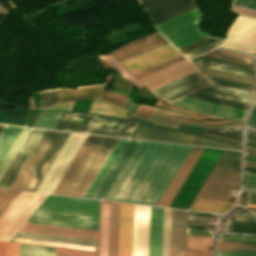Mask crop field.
Instances as JSON below:
<instances>
[{"label":"crop field","instance_id":"c3a83c6f","mask_svg":"<svg viewBox=\"0 0 256 256\" xmlns=\"http://www.w3.org/2000/svg\"><path fill=\"white\" fill-rule=\"evenodd\" d=\"M246 127L256 128V103L247 119Z\"/></svg>","mask_w":256,"mask_h":256},{"label":"crop field","instance_id":"1d79db26","mask_svg":"<svg viewBox=\"0 0 256 256\" xmlns=\"http://www.w3.org/2000/svg\"><path fill=\"white\" fill-rule=\"evenodd\" d=\"M19 244L0 242V256H18Z\"/></svg>","mask_w":256,"mask_h":256},{"label":"crop field","instance_id":"d23c7cc5","mask_svg":"<svg viewBox=\"0 0 256 256\" xmlns=\"http://www.w3.org/2000/svg\"><path fill=\"white\" fill-rule=\"evenodd\" d=\"M171 209L164 208L162 256H169Z\"/></svg>","mask_w":256,"mask_h":256},{"label":"crop field","instance_id":"7b73153f","mask_svg":"<svg viewBox=\"0 0 256 256\" xmlns=\"http://www.w3.org/2000/svg\"><path fill=\"white\" fill-rule=\"evenodd\" d=\"M216 39H218V38L208 36V37H206V38H204L202 40H199V41H197L195 43H192V44H190V45H188L186 47H183V48L179 49V51L182 54H184V53H186L188 51H191V50H193V49H195L197 47H200V46H202L204 44H207V43H209V42H211L213 40H216Z\"/></svg>","mask_w":256,"mask_h":256},{"label":"crop field","instance_id":"dafd665d","mask_svg":"<svg viewBox=\"0 0 256 256\" xmlns=\"http://www.w3.org/2000/svg\"><path fill=\"white\" fill-rule=\"evenodd\" d=\"M195 71H197V69L194 68L187 60H185L181 63L142 78L140 81L149 90H151Z\"/></svg>","mask_w":256,"mask_h":256},{"label":"crop field","instance_id":"ae633e8c","mask_svg":"<svg viewBox=\"0 0 256 256\" xmlns=\"http://www.w3.org/2000/svg\"><path fill=\"white\" fill-rule=\"evenodd\" d=\"M243 186L256 187V173L243 172Z\"/></svg>","mask_w":256,"mask_h":256},{"label":"crop field","instance_id":"dd49c442","mask_svg":"<svg viewBox=\"0 0 256 256\" xmlns=\"http://www.w3.org/2000/svg\"><path fill=\"white\" fill-rule=\"evenodd\" d=\"M221 152L219 149L205 148L170 207L188 208Z\"/></svg>","mask_w":256,"mask_h":256},{"label":"crop field","instance_id":"425ffa30","mask_svg":"<svg viewBox=\"0 0 256 256\" xmlns=\"http://www.w3.org/2000/svg\"><path fill=\"white\" fill-rule=\"evenodd\" d=\"M106 63L111 67L116 69L121 76L126 78L128 81H130L132 84H134L137 87L143 86L134 76H132L124 67H122L115 59L114 57L109 54L107 56H101Z\"/></svg>","mask_w":256,"mask_h":256},{"label":"crop field","instance_id":"1d83c4d3","mask_svg":"<svg viewBox=\"0 0 256 256\" xmlns=\"http://www.w3.org/2000/svg\"><path fill=\"white\" fill-rule=\"evenodd\" d=\"M125 142H126V140L119 139V141L117 142L116 146L112 150L111 154L107 158L106 162L102 166L101 170L97 174L96 178L92 182L91 186L87 190V192L84 195V197L92 198L93 194L95 193L96 189L100 185L101 181L103 180L104 176L106 175L107 171L111 167L112 163L114 162L115 158L117 157L118 153L122 149V147L125 144Z\"/></svg>","mask_w":256,"mask_h":256},{"label":"crop field","instance_id":"d14b1444","mask_svg":"<svg viewBox=\"0 0 256 256\" xmlns=\"http://www.w3.org/2000/svg\"><path fill=\"white\" fill-rule=\"evenodd\" d=\"M230 11H234L241 15L256 17V10H252V9H247V8H242V7L231 5Z\"/></svg>","mask_w":256,"mask_h":256},{"label":"crop field","instance_id":"ade564c9","mask_svg":"<svg viewBox=\"0 0 256 256\" xmlns=\"http://www.w3.org/2000/svg\"><path fill=\"white\" fill-rule=\"evenodd\" d=\"M231 4L256 9V0H233Z\"/></svg>","mask_w":256,"mask_h":256},{"label":"crop field","instance_id":"03da06ac","mask_svg":"<svg viewBox=\"0 0 256 256\" xmlns=\"http://www.w3.org/2000/svg\"><path fill=\"white\" fill-rule=\"evenodd\" d=\"M30 129L28 128H23L21 131L20 135L16 139L15 143L11 147L10 151L6 155L5 159L0 165V178L4 174L5 170L7 169L8 165L10 164L11 160L15 156L16 152L18 151L19 147L21 146L22 142L26 138L27 134L29 133Z\"/></svg>","mask_w":256,"mask_h":256},{"label":"crop field","instance_id":"d8731c3e","mask_svg":"<svg viewBox=\"0 0 256 256\" xmlns=\"http://www.w3.org/2000/svg\"><path fill=\"white\" fill-rule=\"evenodd\" d=\"M85 137L83 134L71 133L36 191L52 193Z\"/></svg>","mask_w":256,"mask_h":256},{"label":"crop field","instance_id":"5a996713","mask_svg":"<svg viewBox=\"0 0 256 256\" xmlns=\"http://www.w3.org/2000/svg\"><path fill=\"white\" fill-rule=\"evenodd\" d=\"M108 204L119 205V203H115V202L101 201L98 256L107 255ZM114 205H109L108 255L107 256H116V249H117L119 206H114Z\"/></svg>","mask_w":256,"mask_h":256},{"label":"crop field","instance_id":"bd1437ed","mask_svg":"<svg viewBox=\"0 0 256 256\" xmlns=\"http://www.w3.org/2000/svg\"><path fill=\"white\" fill-rule=\"evenodd\" d=\"M103 85L80 86L75 89L59 88V101L80 99V98H98Z\"/></svg>","mask_w":256,"mask_h":256},{"label":"crop field","instance_id":"730fd06b","mask_svg":"<svg viewBox=\"0 0 256 256\" xmlns=\"http://www.w3.org/2000/svg\"><path fill=\"white\" fill-rule=\"evenodd\" d=\"M137 143L138 141L127 140L126 144L124 145L123 149L119 153L112 167L108 171L101 185L99 186L96 193L94 194L93 198L103 199L106 192L110 188L111 184L115 180L116 176L120 172L121 168L125 164L126 160L130 156L131 152L133 151Z\"/></svg>","mask_w":256,"mask_h":256},{"label":"crop field","instance_id":"c5b07064","mask_svg":"<svg viewBox=\"0 0 256 256\" xmlns=\"http://www.w3.org/2000/svg\"><path fill=\"white\" fill-rule=\"evenodd\" d=\"M186 256H211V251L186 248Z\"/></svg>","mask_w":256,"mask_h":256},{"label":"crop field","instance_id":"0fb4a251","mask_svg":"<svg viewBox=\"0 0 256 256\" xmlns=\"http://www.w3.org/2000/svg\"><path fill=\"white\" fill-rule=\"evenodd\" d=\"M206 76L213 83L254 92V86H252V85H248V84H244V83H240V82H235V81H231V80H227V79H223V78H218V77H214V76H210V75H206Z\"/></svg>","mask_w":256,"mask_h":256},{"label":"crop field","instance_id":"0f1d7ab4","mask_svg":"<svg viewBox=\"0 0 256 256\" xmlns=\"http://www.w3.org/2000/svg\"><path fill=\"white\" fill-rule=\"evenodd\" d=\"M75 101H70V102H62V103H57L53 105L52 107H46V108H38L42 110H67L71 111L72 107L74 105Z\"/></svg>","mask_w":256,"mask_h":256},{"label":"crop field","instance_id":"28ad6ade","mask_svg":"<svg viewBox=\"0 0 256 256\" xmlns=\"http://www.w3.org/2000/svg\"><path fill=\"white\" fill-rule=\"evenodd\" d=\"M209 83L211 82L203 74L197 71L183 78L153 89L151 92L156 97L164 101H169Z\"/></svg>","mask_w":256,"mask_h":256},{"label":"crop field","instance_id":"5866460e","mask_svg":"<svg viewBox=\"0 0 256 256\" xmlns=\"http://www.w3.org/2000/svg\"><path fill=\"white\" fill-rule=\"evenodd\" d=\"M22 128L5 126L0 135V163L14 143Z\"/></svg>","mask_w":256,"mask_h":256},{"label":"crop field","instance_id":"0bd39190","mask_svg":"<svg viewBox=\"0 0 256 256\" xmlns=\"http://www.w3.org/2000/svg\"><path fill=\"white\" fill-rule=\"evenodd\" d=\"M195 66L197 68H199L203 73H206V74H210V75L223 77V78H227V79H231V80L240 81V82H244V83L254 85V78H252V77L243 76V75L230 73V72H226V71H221V70H217V69H212V68L199 66V65H195Z\"/></svg>","mask_w":256,"mask_h":256},{"label":"crop field","instance_id":"750c4746","mask_svg":"<svg viewBox=\"0 0 256 256\" xmlns=\"http://www.w3.org/2000/svg\"><path fill=\"white\" fill-rule=\"evenodd\" d=\"M192 63L204 65L212 68L235 72L243 75L253 76L252 68L249 66L224 61L204 55H200L190 60Z\"/></svg>","mask_w":256,"mask_h":256},{"label":"crop field","instance_id":"5d738f31","mask_svg":"<svg viewBox=\"0 0 256 256\" xmlns=\"http://www.w3.org/2000/svg\"><path fill=\"white\" fill-rule=\"evenodd\" d=\"M62 112L41 111L33 126L53 129Z\"/></svg>","mask_w":256,"mask_h":256},{"label":"crop field","instance_id":"412701ff","mask_svg":"<svg viewBox=\"0 0 256 256\" xmlns=\"http://www.w3.org/2000/svg\"><path fill=\"white\" fill-rule=\"evenodd\" d=\"M70 133H43L10 188L35 191Z\"/></svg>","mask_w":256,"mask_h":256},{"label":"crop field","instance_id":"d1516ede","mask_svg":"<svg viewBox=\"0 0 256 256\" xmlns=\"http://www.w3.org/2000/svg\"><path fill=\"white\" fill-rule=\"evenodd\" d=\"M16 237H25V238L59 241V242H69V243H78V244H88V245H93V251H96V243H97V241H93V240L57 237V236L22 233V232H17L10 241L14 242ZM15 242L92 251V246H88V245L49 242V241L21 239V238H16Z\"/></svg>","mask_w":256,"mask_h":256},{"label":"crop field","instance_id":"447ae74e","mask_svg":"<svg viewBox=\"0 0 256 256\" xmlns=\"http://www.w3.org/2000/svg\"><path fill=\"white\" fill-rule=\"evenodd\" d=\"M19 193L20 192L18 191L11 190H7L5 192V194L0 198V215L6 210Z\"/></svg>","mask_w":256,"mask_h":256},{"label":"crop field","instance_id":"c821d689","mask_svg":"<svg viewBox=\"0 0 256 256\" xmlns=\"http://www.w3.org/2000/svg\"><path fill=\"white\" fill-rule=\"evenodd\" d=\"M242 191L256 193V188L243 187Z\"/></svg>","mask_w":256,"mask_h":256},{"label":"crop field","instance_id":"d32e631a","mask_svg":"<svg viewBox=\"0 0 256 256\" xmlns=\"http://www.w3.org/2000/svg\"><path fill=\"white\" fill-rule=\"evenodd\" d=\"M232 202L195 198L189 209L224 213L233 206Z\"/></svg>","mask_w":256,"mask_h":256},{"label":"crop field","instance_id":"5142ce71","mask_svg":"<svg viewBox=\"0 0 256 256\" xmlns=\"http://www.w3.org/2000/svg\"><path fill=\"white\" fill-rule=\"evenodd\" d=\"M43 132L44 130L31 129L5 174L1 178L0 187L9 188Z\"/></svg>","mask_w":256,"mask_h":256},{"label":"crop field","instance_id":"cbeb9de0","mask_svg":"<svg viewBox=\"0 0 256 256\" xmlns=\"http://www.w3.org/2000/svg\"><path fill=\"white\" fill-rule=\"evenodd\" d=\"M203 150L204 148L192 147L157 205L169 207L170 203L174 199L175 195L182 186L183 182L185 181L186 177L190 173Z\"/></svg>","mask_w":256,"mask_h":256},{"label":"crop field","instance_id":"819c52e7","mask_svg":"<svg viewBox=\"0 0 256 256\" xmlns=\"http://www.w3.org/2000/svg\"><path fill=\"white\" fill-rule=\"evenodd\" d=\"M247 203L256 204V194L248 193Z\"/></svg>","mask_w":256,"mask_h":256},{"label":"crop field","instance_id":"4a817a6b","mask_svg":"<svg viewBox=\"0 0 256 256\" xmlns=\"http://www.w3.org/2000/svg\"><path fill=\"white\" fill-rule=\"evenodd\" d=\"M134 205L120 203L117 256H131Z\"/></svg>","mask_w":256,"mask_h":256},{"label":"crop field","instance_id":"f0312440","mask_svg":"<svg viewBox=\"0 0 256 256\" xmlns=\"http://www.w3.org/2000/svg\"><path fill=\"white\" fill-rule=\"evenodd\" d=\"M222 156L240 159V152L224 151Z\"/></svg>","mask_w":256,"mask_h":256},{"label":"crop field","instance_id":"e1d0b9f6","mask_svg":"<svg viewBox=\"0 0 256 256\" xmlns=\"http://www.w3.org/2000/svg\"><path fill=\"white\" fill-rule=\"evenodd\" d=\"M74 113H63L54 129L65 130Z\"/></svg>","mask_w":256,"mask_h":256},{"label":"crop field","instance_id":"a0ae1fb6","mask_svg":"<svg viewBox=\"0 0 256 256\" xmlns=\"http://www.w3.org/2000/svg\"><path fill=\"white\" fill-rule=\"evenodd\" d=\"M243 171H247V172H256V169H247V168H243Z\"/></svg>","mask_w":256,"mask_h":256},{"label":"crop field","instance_id":"22f410ed","mask_svg":"<svg viewBox=\"0 0 256 256\" xmlns=\"http://www.w3.org/2000/svg\"><path fill=\"white\" fill-rule=\"evenodd\" d=\"M168 103L190 111L219 116L228 119L242 120L246 113L244 111L192 100L184 97H180Z\"/></svg>","mask_w":256,"mask_h":256},{"label":"crop field","instance_id":"ac0d7876","mask_svg":"<svg viewBox=\"0 0 256 256\" xmlns=\"http://www.w3.org/2000/svg\"><path fill=\"white\" fill-rule=\"evenodd\" d=\"M117 141L88 135L53 193L83 197Z\"/></svg>","mask_w":256,"mask_h":256},{"label":"crop field","instance_id":"9d1cf04e","mask_svg":"<svg viewBox=\"0 0 256 256\" xmlns=\"http://www.w3.org/2000/svg\"><path fill=\"white\" fill-rule=\"evenodd\" d=\"M216 240L256 243V237H254V236H238V235L218 234Z\"/></svg>","mask_w":256,"mask_h":256},{"label":"crop field","instance_id":"7312dd0a","mask_svg":"<svg viewBox=\"0 0 256 256\" xmlns=\"http://www.w3.org/2000/svg\"><path fill=\"white\" fill-rule=\"evenodd\" d=\"M215 256H256V254L215 251Z\"/></svg>","mask_w":256,"mask_h":256},{"label":"crop field","instance_id":"78b8030e","mask_svg":"<svg viewBox=\"0 0 256 256\" xmlns=\"http://www.w3.org/2000/svg\"><path fill=\"white\" fill-rule=\"evenodd\" d=\"M221 41H222V39H219V40H217V41H215V42H212V43H210V44H207V45H205V46H203V47H200V48H198V49H196V50H193V51H191V52H188V53L184 54V56H185L186 58H192V57H194V56H196V55H198V54H200V53H203V52H205V51H207V50H209V49H211V48H213V47L219 45V43H220Z\"/></svg>","mask_w":256,"mask_h":256},{"label":"crop field","instance_id":"dbb93151","mask_svg":"<svg viewBox=\"0 0 256 256\" xmlns=\"http://www.w3.org/2000/svg\"><path fill=\"white\" fill-rule=\"evenodd\" d=\"M213 238L187 235L186 247L206 249L212 245Z\"/></svg>","mask_w":256,"mask_h":256},{"label":"crop field","instance_id":"8de936bc","mask_svg":"<svg viewBox=\"0 0 256 256\" xmlns=\"http://www.w3.org/2000/svg\"><path fill=\"white\" fill-rule=\"evenodd\" d=\"M5 191L6 190H4V189H0V197L4 194Z\"/></svg>","mask_w":256,"mask_h":256},{"label":"crop field","instance_id":"1f2cbd36","mask_svg":"<svg viewBox=\"0 0 256 256\" xmlns=\"http://www.w3.org/2000/svg\"><path fill=\"white\" fill-rule=\"evenodd\" d=\"M228 231L256 233V222L228 220Z\"/></svg>","mask_w":256,"mask_h":256},{"label":"crop field","instance_id":"180be81f","mask_svg":"<svg viewBox=\"0 0 256 256\" xmlns=\"http://www.w3.org/2000/svg\"><path fill=\"white\" fill-rule=\"evenodd\" d=\"M187 234L200 235V236H209V237L214 236V235L210 234V231L196 230V229H190V228H187Z\"/></svg>","mask_w":256,"mask_h":256},{"label":"crop field","instance_id":"fb207236","mask_svg":"<svg viewBox=\"0 0 256 256\" xmlns=\"http://www.w3.org/2000/svg\"><path fill=\"white\" fill-rule=\"evenodd\" d=\"M152 108H153V107H150V106H143V105H140V106H139V109H138V111H137L136 116L142 117V118H147V119H148Z\"/></svg>","mask_w":256,"mask_h":256},{"label":"crop field","instance_id":"34b2d1b8","mask_svg":"<svg viewBox=\"0 0 256 256\" xmlns=\"http://www.w3.org/2000/svg\"><path fill=\"white\" fill-rule=\"evenodd\" d=\"M99 201L48 195L26 222L97 230Z\"/></svg>","mask_w":256,"mask_h":256},{"label":"crop field","instance_id":"920284fa","mask_svg":"<svg viewBox=\"0 0 256 256\" xmlns=\"http://www.w3.org/2000/svg\"><path fill=\"white\" fill-rule=\"evenodd\" d=\"M246 206L256 207V205L247 204Z\"/></svg>","mask_w":256,"mask_h":256},{"label":"crop field","instance_id":"92a150f3","mask_svg":"<svg viewBox=\"0 0 256 256\" xmlns=\"http://www.w3.org/2000/svg\"><path fill=\"white\" fill-rule=\"evenodd\" d=\"M137 125L136 122L96 116L87 132L130 137Z\"/></svg>","mask_w":256,"mask_h":256},{"label":"crop field","instance_id":"bc2a9ffb","mask_svg":"<svg viewBox=\"0 0 256 256\" xmlns=\"http://www.w3.org/2000/svg\"><path fill=\"white\" fill-rule=\"evenodd\" d=\"M132 137L187 144H192V142L196 138L195 135L151 126L143 123H140Z\"/></svg>","mask_w":256,"mask_h":256},{"label":"crop field","instance_id":"e52e79f7","mask_svg":"<svg viewBox=\"0 0 256 256\" xmlns=\"http://www.w3.org/2000/svg\"><path fill=\"white\" fill-rule=\"evenodd\" d=\"M45 196L21 192L0 217V240L8 241Z\"/></svg>","mask_w":256,"mask_h":256},{"label":"crop field","instance_id":"e1f06a70","mask_svg":"<svg viewBox=\"0 0 256 256\" xmlns=\"http://www.w3.org/2000/svg\"><path fill=\"white\" fill-rule=\"evenodd\" d=\"M88 112L116 116V117H125L126 112L119 109L118 107L104 101L93 100Z\"/></svg>","mask_w":256,"mask_h":256},{"label":"crop field","instance_id":"b54c1fbb","mask_svg":"<svg viewBox=\"0 0 256 256\" xmlns=\"http://www.w3.org/2000/svg\"><path fill=\"white\" fill-rule=\"evenodd\" d=\"M19 256H55V248L20 244Z\"/></svg>","mask_w":256,"mask_h":256},{"label":"crop field","instance_id":"214f88e0","mask_svg":"<svg viewBox=\"0 0 256 256\" xmlns=\"http://www.w3.org/2000/svg\"><path fill=\"white\" fill-rule=\"evenodd\" d=\"M156 105L165 107V108H169V109H173V110H177V111H181V112H185V113L192 114V115L205 116V115H201V114H196V113H192V112H188V111L179 110L172 106H169V105H166V104H163L160 102H157ZM166 115L178 116V117H188V118H195V119H205L206 118V117L200 118V117H195V116H190V115L174 113V112H170V111H166V110H162V109L154 107L149 119L174 121V122H181V123H188V124H195V125H202V126H227V125L241 126L242 122H243V121H195V120H189V119H183V118H177V117H170V116H166Z\"/></svg>","mask_w":256,"mask_h":256},{"label":"crop field","instance_id":"a9b5d70f","mask_svg":"<svg viewBox=\"0 0 256 256\" xmlns=\"http://www.w3.org/2000/svg\"><path fill=\"white\" fill-rule=\"evenodd\" d=\"M167 43V41L162 38L158 33L150 35L138 41H134L114 52L112 54L120 61H124L138 54L146 52L150 49L158 47L162 44Z\"/></svg>","mask_w":256,"mask_h":256},{"label":"crop field","instance_id":"89e229c0","mask_svg":"<svg viewBox=\"0 0 256 256\" xmlns=\"http://www.w3.org/2000/svg\"><path fill=\"white\" fill-rule=\"evenodd\" d=\"M194 144L240 150V145L238 144L210 139V138L201 137V136H198Z\"/></svg>","mask_w":256,"mask_h":256},{"label":"crop field","instance_id":"1f1604b0","mask_svg":"<svg viewBox=\"0 0 256 256\" xmlns=\"http://www.w3.org/2000/svg\"><path fill=\"white\" fill-rule=\"evenodd\" d=\"M227 215L236 216V218H235V219L256 221V217H255V216L234 215V214H227Z\"/></svg>","mask_w":256,"mask_h":256},{"label":"crop field","instance_id":"c035e120","mask_svg":"<svg viewBox=\"0 0 256 256\" xmlns=\"http://www.w3.org/2000/svg\"><path fill=\"white\" fill-rule=\"evenodd\" d=\"M215 250L256 253V244L216 241Z\"/></svg>","mask_w":256,"mask_h":256},{"label":"crop field","instance_id":"4177f3b9","mask_svg":"<svg viewBox=\"0 0 256 256\" xmlns=\"http://www.w3.org/2000/svg\"><path fill=\"white\" fill-rule=\"evenodd\" d=\"M186 211L172 209L170 256H184Z\"/></svg>","mask_w":256,"mask_h":256},{"label":"crop field","instance_id":"8a807250","mask_svg":"<svg viewBox=\"0 0 256 256\" xmlns=\"http://www.w3.org/2000/svg\"><path fill=\"white\" fill-rule=\"evenodd\" d=\"M190 149L139 141L104 199L156 205Z\"/></svg>","mask_w":256,"mask_h":256},{"label":"crop field","instance_id":"ae1a2a85","mask_svg":"<svg viewBox=\"0 0 256 256\" xmlns=\"http://www.w3.org/2000/svg\"><path fill=\"white\" fill-rule=\"evenodd\" d=\"M163 208L151 207L148 256H161Z\"/></svg>","mask_w":256,"mask_h":256},{"label":"crop field","instance_id":"73cf0c24","mask_svg":"<svg viewBox=\"0 0 256 256\" xmlns=\"http://www.w3.org/2000/svg\"><path fill=\"white\" fill-rule=\"evenodd\" d=\"M241 127L205 128L206 133L240 141Z\"/></svg>","mask_w":256,"mask_h":256},{"label":"crop field","instance_id":"d9b57169","mask_svg":"<svg viewBox=\"0 0 256 256\" xmlns=\"http://www.w3.org/2000/svg\"><path fill=\"white\" fill-rule=\"evenodd\" d=\"M150 207L135 205L132 256H147Z\"/></svg>","mask_w":256,"mask_h":256},{"label":"crop field","instance_id":"d3111659","mask_svg":"<svg viewBox=\"0 0 256 256\" xmlns=\"http://www.w3.org/2000/svg\"><path fill=\"white\" fill-rule=\"evenodd\" d=\"M195 92L208 94V95H212V96H217V97L230 99V100H234V101H239V102H243V103H247V104L250 103L252 96H253L252 92L229 88V87L220 86V85H216V84H212L210 86L196 90Z\"/></svg>","mask_w":256,"mask_h":256},{"label":"crop field","instance_id":"eef30255","mask_svg":"<svg viewBox=\"0 0 256 256\" xmlns=\"http://www.w3.org/2000/svg\"><path fill=\"white\" fill-rule=\"evenodd\" d=\"M239 165L240 160L220 157L207 181L238 185Z\"/></svg>","mask_w":256,"mask_h":256},{"label":"crop field","instance_id":"120bbe31","mask_svg":"<svg viewBox=\"0 0 256 256\" xmlns=\"http://www.w3.org/2000/svg\"><path fill=\"white\" fill-rule=\"evenodd\" d=\"M231 185L205 182L197 197L228 201Z\"/></svg>","mask_w":256,"mask_h":256},{"label":"crop field","instance_id":"c39391a2","mask_svg":"<svg viewBox=\"0 0 256 256\" xmlns=\"http://www.w3.org/2000/svg\"><path fill=\"white\" fill-rule=\"evenodd\" d=\"M125 118L140 120V121H144V122H148V123H152V124H156V125H160V126H164V127H171V128H175V129H179V130H180L179 124L164 123V122H154V121H146V120H142V119H138V118L132 117V116H130V115H128V114H126V117H125Z\"/></svg>","mask_w":256,"mask_h":256},{"label":"crop field","instance_id":"f47e1a6f","mask_svg":"<svg viewBox=\"0 0 256 256\" xmlns=\"http://www.w3.org/2000/svg\"><path fill=\"white\" fill-rule=\"evenodd\" d=\"M247 208H249V209H251V210H256V208H250V207H247ZM253 212L256 213V211H253Z\"/></svg>","mask_w":256,"mask_h":256},{"label":"crop field","instance_id":"db79e9e6","mask_svg":"<svg viewBox=\"0 0 256 256\" xmlns=\"http://www.w3.org/2000/svg\"><path fill=\"white\" fill-rule=\"evenodd\" d=\"M126 98L127 97L125 96L114 95V94H109L104 92L101 93V97H100V99L112 102L120 107H123Z\"/></svg>","mask_w":256,"mask_h":256},{"label":"crop field","instance_id":"028f5c9d","mask_svg":"<svg viewBox=\"0 0 256 256\" xmlns=\"http://www.w3.org/2000/svg\"><path fill=\"white\" fill-rule=\"evenodd\" d=\"M184 97L197 99V100H201V101H205V102H210V103H214V104H218V105H223V106H227V107H231V108H236V109H240V110H244V111H246L249 106L247 104L234 102V101H230V100H225V99L212 97V96H208V95H203V94H199V93H195V92H191V93L185 95Z\"/></svg>","mask_w":256,"mask_h":256},{"label":"crop field","instance_id":"733c2abd","mask_svg":"<svg viewBox=\"0 0 256 256\" xmlns=\"http://www.w3.org/2000/svg\"><path fill=\"white\" fill-rule=\"evenodd\" d=\"M177 54H179V52L174 49L169 43H167L163 46L155 48L127 61H124L122 62V64L132 74H134L140 70L150 67Z\"/></svg>","mask_w":256,"mask_h":256},{"label":"crop field","instance_id":"3316defc","mask_svg":"<svg viewBox=\"0 0 256 256\" xmlns=\"http://www.w3.org/2000/svg\"><path fill=\"white\" fill-rule=\"evenodd\" d=\"M154 25H158L194 7L193 0H139Z\"/></svg>","mask_w":256,"mask_h":256},{"label":"crop field","instance_id":"00972430","mask_svg":"<svg viewBox=\"0 0 256 256\" xmlns=\"http://www.w3.org/2000/svg\"><path fill=\"white\" fill-rule=\"evenodd\" d=\"M19 231L97 240V231L24 223Z\"/></svg>","mask_w":256,"mask_h":256},{"label":"crop field","instance_id":"b80d0937","mask_svg":"<svg viewBox=\"0 0 256 256\" xmlns=\"http://www.w3.org/2000/svg\"><path fill=\"white\" fill-rule=\"evenodd\" d=\"M204 55L251 66L252 57H248V56H244V55H240V54H236V53H232V52H228L220 49L212 50L210 52L205 53Z\"/></svg>","mask_w":256,"mask_h":256},{"label":"crop field","instance_id":"25e5ab78","mask_svg":"<svg viewBox=\"0 0 256 256\" xmlns=\"http://www.w3.org/2000/svg\"><path fill=\"white\" fill-rule=\"evenodd\" d=\"M183 60H185V58L181 54H179V55H177V56H175L173 58H170V59H168L166 61H163V62H161V63H159L157 65H154V66H152L150 68H147V69H145V70H143L141 72H138V73L134 74V76H136L138 79H140V78H142L144 76L152 74V73H154L156 71L164 69V68H166L168 66L176 64V63H178L180 61H183Z\"/></svg>","mask_w":256,"mask_h":256},{"label":"crop field","instance_id":"f4fd0767","mask_svg":"<svg viewBox=\"0 0 256 256\" xmlns=\"http://www.w3.org/2000/svg\"><path fill=\"white\" fill-rule=\"evenodd\" d=\"M200 13L194 9L156 26V29L177 49L208 35L199 31Z\"/></svg>","mask_w":256,"mask_h":256},{"label":"crop field","instance_id":"c21b1889","mask_svg":"<svg viewBox=\"0 0 256 256\" xmlns=\"http://www.w3.org/2000/svg\"><path fill=\"white\" fill-rule=\"evenodd\" d=\"M95 116L75 113L66 130L86 132Z\"/></svg>","mask_w":256,"mask_h":256},{"label":"crop field","instance_id":"0765c3eb","mask_svg":"<svg viewBox=\"0 0 256 256\" xmlns=\"http://www.w3.org/2000/svg\"><path fill=\"white\" fill-rule=\"evenodd\" d=\"M56 256H96V253L56 248Z\"/></svg>","mask_w":256,"mask_h":256}]
</instances>
